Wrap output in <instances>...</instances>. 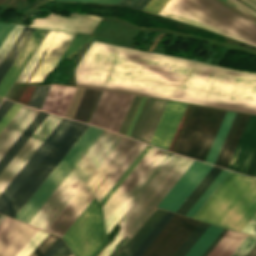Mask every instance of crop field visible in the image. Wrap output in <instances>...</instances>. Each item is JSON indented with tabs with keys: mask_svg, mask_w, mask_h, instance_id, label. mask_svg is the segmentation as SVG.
<instances>
[{
	"mask_svg": "<svg viewBox=\"0 0 256 256\" xmlns=\"http://www.w3.org/2000/svg\"><path fill=\"white\" fill-rule=\"evenodd\" d=\"M62 238L75 256H96L105 246L108 240L95 198Z\"/></svg>",
	"mask_w": 256,
	"mask_h": 256,
	"instance_id": "obj_10",
	"label": "crop field"
},
{
	"mask_svg": "<svg viewBox=\"0 0 256 256\" xmlns=\"http://www.w3.org/2000/svg\"><path fill=\"white\" fill-rule=\"evenodd\" d=\"M222 168L213 166L208 174L204 177L201 183L189 196L187 201L185 200L181 207L178 209L177 213L185 215L186 212L191 208V206L196 202V200L201 196V194L206 190V188L211 184V182L216 178V176L221 172Z\"/></svg>",
	"mask_w": 256,
	"mask_h": 256,
	"instance_id": "obj_32",
	"label": "crop field"
},
{
	"mask_svg": "<svg viewBox=\"0 0 256 256\" xmlns=\"http://www.w3.org/2000/svg\"><path fill=\"white\" fill-rule=\"evenodd\" d=\"M211 167L212 165L194 160L163 201L161 200L159 206L157 205L158 208L176 212Z\"/></svg>",
	"mask_w": 256,
	"mask_h": 256,
	"instance_id": "obj_15",
	"label": "crop field"
},
{
	"mask_svg": "<svg viewBox=\"0 0 256 256\" xmlns=\"http://www.w3.org/2000/svg\"><path fill=\"white\" fill-rule=\"evenodd\" d=\"M63 244V241L57 238L53 244L42 254V256H53Z\"/></svg>",
	"mask_w": 256,
	"mask_h": 256,
	"instance_id": "obj_50",
	"label": "crop field"
},
{
	"mask_svg": "<svg viewBox=\"0 0 256 256\" xmlns=\"http://www.w3.org/2000/svg\"><path fill=\"white\" fill-rule=\"evenodd\" d=\"M256 213V179L230 172L194 218L241 232Z\"/></svg>",
	"mask_w": 256,
	"mask_h": 256,
	"instance_id": "obj_3",
	"label": "crop field"
},
{
	"mask_svg": "<svg viewBox=\"0 0 256 256\" xmlns=\"http://www.w3.org/2000/svg\"><path fill=\"white\" fill-rule=\"evenodd\" d=\"M119 0H75L74 2H97L107 4H117Z\"/></svg>",
	"mask_w": 256,
	"mask_h": 256,
	"instance_id": "obj_57",
	"label": "crop field"
},
{
	"mask_svg": "<svg viewBox=\"0 0 256 256\" xmlns=\"http://www.w3.org/2000/svg\"><path fill=\"white\" fill-rule=\"evenodd\" d=\"M173 213L167 212L166 215L161 219V221L156 225V227L151 231V233L146 237V239L141 243V245L136 249V251L131 256H140L145 248L150 244L154 237L159 233L167 221L172 217Z\"/></svg>",
	"mask_w": 256,
	"mask_h": 256,
	"instance_id": "obj_39",
	"label": "crop field"
},
{
	"mask_svg": "<svg viewBox=\"0 0 256 256\" xmlns=\"http://www.w3.org/2000/svg\"><path fill=\"white\" fill-rule=\"evenodd\" d=\"M50 86L51 85L45 87L37 86L28 105L40 109Z\"/></svg>",
	"mask_w": 256,
	"mask_h": 256,
	"instance_id": "obj_43",
	"label": "crop field"
},
{
	"mask_svg": "<svg viewBox=\"0 0 256 256\" xmlns=\"http://www.w3.org/2000/svg\"><path fill=\"white\" fill-rule=\"evenodd\" d=\"M151 146L147 145L145 149L140 153V155L134 160V162L128 167V169L123 173L117 183L110 189V191L103 197L99 202L101 207L109 199V197L114 193V191L119 187V185L124 181V179L129 175V173L134 169L138 162L143 158V156L148 152Z\"/></svg>",
	"mask_w": 256,
	"mask_h": 256,
	"instance_id": "obj_40",
	"label": "crop field"
},
{
	"mask_svg": "<svg viewBox=\"0 0 256 256\" xmlns=\"http://www.w3.org/2000/svg\"><path fill=\"white\" fill-rule=\"evenodd\" d=\"M21 104L14 103L13 106L8 110L4 117L0 120V132L7 125V123L12 119L16 112L21 108Z\"/></svg>",
	"mask_w": 256,
	"mask_h": 256,
	"instance_id": "obj_45",
	"label": "crop field"
},
{
	"mask_svg": "<svg viewBox=\"0 0 256 256\" xmlns=\"http://www.w3.org/2000/svg\"><path fill=\"white\" fill-rule=\"evenodd\" d=\"M69 1H74V0H69Z\"/></svg>",
	"mask_w": 256,
	"mask_h": 256,
	"instance_id": "obj_64",
	"label": "crop field"
},
{
	"mask_svg": "<svg viewBox=\"0 0 256 256\" xmlns=\"http://www.w3.org/2000/svg\"><path fill=\"white\" fill-rule=\"evenodd\" d=\"M241 1L256 10V0H241Z\"/></svg>",
	"mask_w": 256,
	"mask_h": 256,
	"instance_id": "obj_59",
	"label": "crop field"
},
{
	"mask_svg": "<svg viewBox=\"0 0 256 256\" xmlns=\"http://www.w3.org/2000/svg\"><path fill=\"white\" fill-rule=\"evenodd\" d=\"M173 153L163 151L162 154L157 158L153 165L148 169L144 176L139 180L135 187L125 197L121 204L116 208L112 215L105 222L107 234L117 224L120 218L130 209L135 201L140 197L144 190L154 180L158 173L173 157Z\"/></svg>",
	"mask_w": 256,
	"mask_h": 256,
	"instance_id": "obj_17",
	"label": "crop field"
},
{
	"mask_svg": "<svg viewBox=\"0 0 256 256\" xmlns=\"http://www.w3.org/2000/svg\"><path fill=\"white\" fill-rule=\"evenodd\" d=\"M209 224L200 222L199 225L194 229L190 236L185 240V242L180 246L173 256H184L187 251L192 247V245L197 241V239L202 235V233L207 229Z\"/></svg>",
	"mask_w": 256,
	"mask_h": 256,
	"instance_id": "obj_37",
	"label": "crop field"
},
{
	"mask_svg": "<svg viewBox=\"0 0 256 256\" xmlns=\"http://www.w3.org/2000/svg\"><path fill=\"white\" fill-rule=\"evenodd\" d=\"M47 31L35 29L17 58L15 59L14 63L0 82V96L4 97L23 67L25 66L26 62L44 37Z\"/></svg>",
	"mask_w": 256,
	"mask_h": 256,
	"instance_id": "obj_24",
	"label": "crop field"
},
{
	"mask_svg": "<svg viewBox=\"0 0 256 256\" xmlns=\"http://www.w3.org/2000/svg\"><path fill=\"white\" fill-rule=\"evenodd\" d=\"M221 230L222 228L210 225L185 256H201Z\"/></svg>",
	"mask_w": 256,
	"mask_h": 256,
	"instance_id": "obj_35",
	"label": "crop field"
},
{
	"mask_svg": "<svg viewBox=\"0 0 256 256\" xmlns=\"http://www.w3.org/2000/svg\"><path fill=\"white\" fill-rule=\"evenodd\" d=\"M39 110L23 105L0 133V158L38 114Z\"/></svg>",
	"mask_w": 256,
	"mask_h": 256,
	"instance_id": "obj_25",
	"label": "crop field"
},
{
	"mask_svg": "<svg viewBox=\"0 0 256 256\" xmlns=\"http://www.w3.org/2000/svg\"><path fill=\"white\" fill-rule=\"evenodd\" d=\"M87 127L88 125L74 121L16 193L1 209L0 213L14 218Z\"/></svg>",
	"mask_w": 256,
	"mask_h": 256,
	"instance_id": "obj_7",
	"label": "crop field"
},
{
	"mask_svg": "<svg viewBox=\"0 0 256 256\" xmlns=\"http://www.w3.org/2000/svg\"><path fill=\"white\" fill-rule=\"evenodd\" d=\"M225 112L195 106L174 152L204 161Z\"/></svg>",
	"mask_w": 256,
	"mask_h": 256,
	"instance_id": "obj_8",
	"label": "crop field"
},
{
	"mask_svg": "<svg viewBox=\"0 0 256 256\" xmlns=\"http://www.w3.org/2000/svg\"><path fill=\"white\" fill-rule=\"evenodd\" d=\"M61 117L49 114L25 145L0 174V193L47 137ZM57 126V125H56Z\"/></svg>",
	"mask_w": 256,
	"mask_h": 256,
	"instance_id": "obj_14",
	"label": "crop field"
},
{
	"mask_svg": "<svg viewBox=\"0 0 256 256\" xmlns=\"http://www.w3.org/2000/svg\"><path fill=\"white\" fill-rule=\"evenodd\" d=\"M79 89H80V88H77L76 91H75V93H74V96H73V98H72V100H71V103H70V105H69V107H68V109H67V111H66V113H65V116H66V117H67L68 114H69V111H70V109H71V106H72V104H73V101H74V99H75V97H76V95H77ZM84 90H85V89H83V91H82V88L80 89V91H79V93H78V95H77V97H76V99H75V101H74V104H73V106H72V109H71L70 114H69L68 117H70V115H71V113H72V110H73V108H74V106H75V104H76V101H77V99H78V97H79V95H80V93H81V91H82V93H81V95H80V97H79V99H78V101H77V104H76V106H75V108H74V111H73V113H72V115H71V117H70V118H72V116H73V114H74V112H75V110H76V107H77V105H78V103H79V101H80V98H81V96H82Z\"/></svg>",
	"mask_w": 256,
	"mask_h": 256,
	"instance_id": "obj_51",
	"label": "crop field"
},
{
	"mask_svg": "<svg viewBox=\"0 0 256 256\" xmlns=\"http://www.w3.org/2000/svg\"><path fill=\"white\" fill-rule=\"evenodd\" d=\"M145 146L146 144L124 137L48 232L62 237L95 196L98 202L101 200ZM107 174L108 177L95 191Z\"/></svg>",
	"mask_w": 256,
	"mask_h": 256,
	"instance_id": "obj_5",
	"label": "crop field"
},
{
	"mask_svg": "<svg viewBox=\"0 0 256 256\" xmlns=\"http://www.w3.org/2000/svg\"><path fill=\"white\" fill-rule=\"evenodd\" d=\"M134 95L102 92L89 124L118 131Z\"/></svg>",
	"mask_w": 256,
	"mask_h": 256,
	"instance_id": "obj_13",
	"label": "crop field"
},
{
	"mask_svg": "<svg viewBox=\"0 0 256 256\" xmlns=\"http://www.w3.org/2000/svg\"><path fill=\"white\" fill-rule=\"evenodd\" d=\"M15 220L6 217L0 224V237L8 230ZM38 229L16 221L0 238V256H15L18 251L32 238Z\"/></svg>",
	"mask_w": 256,
	"mask_h": 256,
	"instance_id": "obj_19",
	"label": "crop field"
},
{
	"mask_svg": "<svg viewBox=\"0 0 256 256\" xmlns=\"http://www.w3.org/2000/svg\"><path fill=\"white\" fill-rule=\"evenodd\" d=\"M56 238L57 236L49 234L30 256H40Z\"/></svg>",
	"mask_w": 256,
	"mask_h": 256,
	"instance_id": "obj_46",
	"label": "crop field"
},
{
	"mask_svg": "<svg viewBox=\"0 0 256 256\" xmlns=\"http://www.w3.org/2000/svg\"><path fill=\"white\" fill-rule=\"evenodd\" d=\"M122 138L104 130L29 224L47 231Z\"/></svg>",
	"mask_w": 256,
	"mask_h": 256,
	"instance_id": "obj_4",
	"label": "crop field"
},
{
	"mask_svg": "<svg viewBox=\"0 0 256 256\" xmlns=\"http://www.w3.org/2000/svg\"><path fill=\"white\" fill-rule=\"evenodd\" d=\"M23 29L22 26L15 25V27L12 29V31L9 33V35L6 37V39L3 41V43L0 45V62L12 46L13 42ZM2 99L0 98V101Z\"/></svg>",
	"mask_w": 256,
	"mask_h": 256,
	"instance_id": "obj_42",
	"label": "crop field"
},
{
	"mask_svg": "<svg viewBox=\"0 0 256 256\" xmlns=\"http://www.w3.org/2000/svg\"><path fill=\"white\" fill-rule=\"evenodd\" d=\"M246 256H256V244Z\"/></svg>",
	"mask_w": 256,
	"mask_h": 256,
	"instance_id": "obj_61",
	"label": "crop field"
},
{
	"mask_svg": "<svg viewBox=\"0 0 256 256\" xmlns=\"http://www.w3.org/2000/svg\"><path fill=\"white\" fill-rule=\"evenodd\" d=\"M186 105L178 102H168L150 143L151 145L168 149Z\"/></svg>",
	"mask_w": 256,
	"mask_h": 256,
	"instance_id": "obj_22",
	"label": "crop field"
},
{
	"mask_svg": "<svg viewBox=\"0 0 256 256\" xmlns=\"http://www.w3.org/2000/svg\"><path fill=\"white\" fill-rule=\"evenodd\" d=\"M14 27L12 24L2 23L0 22V44Z\"/></svg>",
	"mask_w": 256,
	"mask_h": 256,
	"instance_id": "obj_52",
	"label": "crop field"
},
{
	"mask_svg": "<svg viewBox=\"0 0 256 256\" xmlns=\"http://www.w3.org/2000/svg\"><path fill=\"white\" fill-rule=\"evenodd\" d=\"M235 114L236 113H234V112H229V111L226 112L224 119L221 123V126L218 130V133H217V135L214 139V142L211 146V149L208 153V156L205 160L206 162H209L212 164L214 163Z\"/></svg>",
	"mask_w": 256,
	"mask_h": 256,
	"instance_id": "obj_33",
	"label": "crop field"
},
{
	"mask_svg": "<svg viewBox=\"0 0 256 256\" xmlns=\"http://www.w3.org/2000/svg\"><path fill=\"white\" fill-rule=\"evenodd\" d=\"M256 176V175H255Z\"/></svg>",
	"mask_w": 256,
	"mask_h": 256,
	"instance_id": "obj_65",
	"label": "crop field"
},
{
	"mask_svg": "<svg viewBox=\"0 0 256 256\" xmlns=\"http://www.w3.org/2000/svg\"><path fill=\"white\" fill-rule=\"evenodd\" d=\"M242 232L252 234V235H256V215L247 224V226L243 229Z\"/></svg>",
	"mask_w": 256,
	"mask_h": 256,
	"instance_id": "obj_54",
	"label": "crop field"
},
{
	"mask_svg": "<svg viewBox=\"0 0 256 256\" xmlns=\"http://www.w3.org/2000/svg\"><path fill=\"white\" fill-rule=\"evenodd\" d=\"M165 213L166 211L156 209L154 213L149 217V219L144 223V225L139 229V231L134 235V237L129 241V243L125 246L119 256H130Z\"/></svg>",
	"mask_w": 256,
	"mask_h": 256,
	"instance_id": "obj_29",
	"label": "crop field"
},
{
	"mask_svg": "<svg viewBox=\"0 0 256 256\" xmlns=\"http://www.w3.org/2000/svg\"><path fill=\"white\" fill-rule=\"evenodd\" d=\"M245 236V234L228 230L207 256H230Z\"/></svg>",
	"mask_w": 256,
	"mask_h": 256,
	"instance_id": "obj_30",
	"label": "crop field"
},
{
	"mask_svg": "<svg viewBox=\"0 0 256 256\" xmlns=\"http://www.w3.org/2000/svg\"><path fill=\"white\" fill-rule=\"evenodd\" d=\"M33 31V28L24 27V29L16 39L15 43L13 44V46L11 47V49L9 50V52L7 53V55L0 64V81Z\"/></svg>",
	"mask_w": 256,
	"mask_h": 256,
	"instance_id": "obj_31",
	"label": "crop field"
},
{
	"mask_svg": "<svg viewBox=\"0 0 256 256\" xmlns=\"http://www.w3.org/2000/svg\"><path fill=\"white\" fill-rule=\"evenodd\" d=\"M100 19V17L88 15L61 16L51 13L46 18H36L30 26L90 34Z\"/></svg>",
	"mask_w": 256,
	"mask_h": 256,
	"instance_id": "obj_18",
	"label": "crop field"
},
{
	"mask_svg": "<svg viewBox=\"0 0 256 256\" xmlns=\"http://www.w3.org/2000/svg\"><path fill=\"white\" fill-rule=\"evenodd\" d=\"M76 86L256 114V73L93 41Z\"/></svg>",
	"mask_w": 256,
	"mask_h": 256,
	"instance_id": "obj_1",
	"label": "crop field"
},
{
	"mask_svg": "<svg viewBox=\"0 0 256 256\" xmlns=\"http://www.w3.org/2000/svg\"><path fill=\"white\" fill-rule=\"evenodd\" d=\"M192 161L193 159L177 154L174 155V157L164 167V169L155 178L151 185L146 189V191L141 195L137 202L123 217L121 220V229L117 236L99 256H109L125 235L128 238L131 237V235L141 225V223L155 208V206L178 180V178L187 169V167L192 163Z\"/></svg>",
	"mask_w": 256,
	"mask_h": 256,
	"instance_id": "obj_6",
	"label": "crop field"
},
{
	"mask_svg": "<svg viewBox=\"0 0 256 256\" xmlns=\"http://www.w3.org/2000/svg\"><path fill=\"white\" fill-rule=\"evenodd\" d=\"M141 97H142V96H141ZM141 97H140V99H141ZM135 98H136V95L134 96V98H133V100H132V103H131V105H130V107H129V109H128V112H127V114H126V116H125V119H124V121H123V123H122V125H121V128H120V130H119V132H118L119 134L121 133V131H122V129H123V126H124V124H125V122H126V119H127L128 115H129V112H130V110H131V107H132V105H133V103H134ZM138 99H139V95L137 96V98H136V100H135V103H134V105H133V107H132V110H131V112H130V115H129V117H128V119H127V122H126V124H125V126H124V129H125V127H126L128 121H129V119H130V117H131V115H132V112H133V110H134V108H135V106H136V103H137ZM140 99H139V101H140ZM139 101H138V103H139ZM138 103H137V105H138ZM136 108H137V106H136ZM136 108H135V110H136ZM135 110H134V112H135ZM133 114H134V113H133ZM132 117H133V115H132ZM132 117H131V119H132ZM131 119H130V121H131ZM129 123H130V122H129ZM128 125H129V124H128ZM127 128H128V126H127ZM127 128H126V130H127ZM124 129H123V131H124ZM126 130H125V132H126ZM123 131H122V133H123ZM125 132H124V134H125ZM122 133H121V134H122Z\"/></svg>",
	"mask_w": 256,
	"mask_h": 256,
	"instance_id": "obj_49",
	"label": "crop field"
},
{
	"mask_svg": "<svg viewBox=\"0 0 256 256\" xmlns=\"http://www.w3.org/2000/svg\"><path fill=\"white\" fill-rule=\"evenodd\" d=\"M159 14L256 46V12L238 0H169Z\"/></svg>",
	"mask_w": 256,
	"mask_h": 256,
	"instance_id": "obj_2",
	"label": "crop field"
},
{
	"mask_svg": "<svg viewBox=\"0 0 256 256\" xmlns=\"http://www.w3.org/2000/svg\"><path fill=\"white\" fill-rule=\"evenodd\" d=\"M168 101L149 98L132 134V138L150 143Z\"/></svg>",
	"mask_w": 256,
	"mask_h": 256,
	"instance_id": "obj_23",
	"label": "crop field"
},
{
	"mask_svg": "<svg viewBox=\"0 0 256 256\" xmlns=\"http://www.w3.org/2000/svg\"><path fill=\"white\" fill-rule=\"evenodd\" d=\"M89 35H83V34H76L56 66L54 67L53 71L59 66V64L65 59H70L72 60L73 57L76 55V53L79 51V49L82 47L84 42L87 40Z\"/></svg>",
	"mask_w": 256,
	"mask_h": 256,
	"instance_id": "obj_38",
	"label": "crop field"
},
{
	"mask_svg": "<svg viewBox=\"0 0 256 256\" xmlns=\"http://www.w3.org/2000/svg\"><path fill=\"white\" fill-rule=\"evenodd\" d=\"M229 170L223 169L222 172L217 176V178L212 182V184L207 188V190L202 194V196L197 200V202L192 206V208L187 212V216L193 217L198 209L203 205L219 183L228 174Z\"/></svg>",
	"mask_w": 256,
	"mask_h": 256,
	"instance_id": "obj_36",
	"label": "crop field"
},
{
	"mask_svg": "<svg viewBox=\"0 0 256 256\" xmlns=\"http://www.w3.org/2000/svg\"><path fill=\"white\" fill-rule=\"evenodd\" d=\"M250 115L237 113L229 129L226 139L215 161V165L227 167L242 131Z\"/></svg>",
	"mask_w": 256,
	"mask_h": 256,
	"instance_id": "obj_26",
	"label": "crop field"
},
{
	"mask_svg": "<svg viewBox=\"0 0 256 256\" xmlns=\"http://www.w3.org/2000/svg\"><path fill=\"white\" fill-rule=\"evenodd\" d=\"M75 89L73 87L52 85L41 109L63 116Z\"/></svg>",
	"mask_w": 256,
	"mask_h": 256,
	"instance_id": "obj_27",
	"label": "crop field"
},
{
	"mask_svg": "<svg viewBox=\"0 0 256 256\" xmlns=\"http://www.w3.org/2000/svg\"><path fill=\"white\" fill-rule=\"evenodd\" d=\"M167 2L168 0H151L144 10L158 14Z\"/></svg>",
	"mask_w": 256,
	"mask_h": 256,
	"instance_id": "obj_47",
	"label": "crop field"
},
{
	"mask_svg": "<svg viewBox=\"0 0 256 256\" xmlns=\"http://www.w3.org/2000/svg\"><path fill=\"white\" fill-rule=\"evenodd\" d=\"M99 92L100 91L97 90H85L81 98V101L77 107V110L72 118L73 120H77L84 123L86 122Z\"/></svg>",
	"mask_w": 256,
	"mask_h": 256,
	"instance_id": "obj_34",
	"label": "crop field"
},
{
	"mask_svg": "<svg viewBox=\"0 0 256 256\" xmlns=\"http://www.w3.org/2000/svg\"><path fill=\"white\" fill-rule=\"evenodd\" d=\"M150 0H120L118 4L138 9H144Z\"/></svg>",
	"mask_w": 256,
	"mask_h": 256,
	"instance_id": "obj_48",
	"label": "crop field"
},
{
	"mask_svg": "<svg viewBox=\"0 0 256 256\" xmlns=\"http://www.w3.org/2000/svg\"><path fill=\"white\" fill-rule=\"evenodd\" d=\"M149 151V150H148ZM162 150L152 147L110 199L102 207L104 213V219L111 215L115 208L120 204L124 197L129 193L133 186L143 176L147 169L152 165L156 158L161 154Z\"/></svg>",
	"mask_w": 256,
	"mask_h": 256,
	"instance_id": "obj_20",
	"label": "crop field"
},
{
	"mask_svg": "<svg viewBox=\"0 0 256 256\" xmlns=\"http://www.w3.org/2000/svg\"><path fill=\"white\" fill-rule=\"evenodd\" d=\"M103 129L89 126L48 178L25 204L15 219L28 223L65 176L75 166L88 148L93 144Z\"/></svg>",
	"mask_w": 256,
	"mask_h": 256,
	"instance_id": "obj_9",
	"label": "crop field"
},
{
	"mask_svg": "<svg viewBox=\"0 0 256 256\" xmlns=\"http://www.w3.org/2000/svg\"><path fill=\"white\" fill-rule=\"evenodd\" d=\"M75 34L50 31L42 41L41 45L25 67L17 81L26 82L29 74L42 56L44 50L49 47L44 59L33 74L29 83H42L51 72L52 68L65 51ZM46 51V50H45ZM31 75V74H30Z\"/></svg>",
	"mask_w": 256,
	"mask_h": 256,
	"instance_id": "obj_11",
	"label": "crop field"
},
{
	"mask_svg": "<svg viewBox=\"0 0 256 256\" xmlns=\"http://www.w3.org/2000/svg\"><path fill=\"white\" fill-rule=\"evenodd\" d=\"M13 102L8 100H4L3 103L0 105V119L3 115L7 112V110L12 106Z\"/></svg>",
	"mask_w": 256,
	"mask_h": 256,
	"instance_id": "obj_55",
	"label": "crop field"
},
{
	"mask_svg": "<svg viewBox=\"0 0 256 256\" xmlns=\"http://www.w3.org/2000/svg\"><path fill=\"white\" fill-rule=\"evenodd\" d=\"M47 235L48 233L39 230L16 256H29Z\"/></svg>",
	"mask_w": 256,
	"mask_h": 256,
	"instance_id": "obj_41",
	"label": "crop field"
},
{
	"mask_svg": "<svg viewBox=\"0 0 256 256\" xmlns=\"http://www.w3.org/2000/svg\"><path fill=\"white\" fill-rule=\"evenodd\" d=\"M72 122V120L63 118L62 121L58 124V126L48 136V138L42 143V145L37 149V151L32 155V157L26 162V164L17 173V175L13 178L9 185L0 194V209L5 205V203L14 194L18 187L23 183V181L28 177V175L33 171V169L38 165V163L43 159V157L48 153V151L53 147L57 140L72 124Z\"/></svg>",
	"mask_w": 256,
	"mask_h": 256,
	"instance_id": "obj_16",
	"label": "crop field"
},
{
	"mask_svg": "<svg viewBox=\"0 0 256 256\" xmlns=\"http://www.w3.org/2000/svg\"><path fill=\"white\" fill-rule=\"evenodd\" d=\"M5 218V216L1 215L0 216V222Z\"/></svg>",
	"mask_w": 256,
	"mask_h": 256,
	"instance_id": "obj_62",
	"label": "crop field"
},
{
	"mask_svg": "<svg viewBox=\"0 0 256 256\" xmlns=\"http://www.w3.org/2000/svg\"><path fill=\"white\" fill-rule=\"evenodd\" d=\"M256 243V237L247 235L231 256H245Z\"/></svg>",
	"mask_w": 256,
	"mask_h": 256,
	"instance_id": "obj_44",
	"label": "crop field"
},
{
	"mask_svg": "<svg viewBox=\"0 0 256 256\" xmlns=\"http://www.w3.org/2000/svg\"><path fill=\"white\" fill-rule=\"evenodd\" d=\"M69 256H73V254L71 253Z\"/></svg>",
	"mask_w": 256,
	"mask_h": 256,
	"instance_id": "obj_63",
	"label": "crop field"
},
{
	"mask_svg": "<svg viewBox=\"0 0 256 256\" xmlns=\"http://www.w3.org/2000/svg\"><path fill=\"white\" fill-rule=\"evenodd\" d=\"M19 85V83H14L13 87L11 88L10 92L8 93L7 97L8 99H10V97L12 96V94L14 93L15 89L17 88V86Z\"/></svg>",
	"mask_w": 256,
	"mask_h": 256,
	"instance_id": "obj_60",
	"label": "crop field"
},
{
	"mask_svg": "<svg viewBox=\"0 0 256 256\" xmlns=\"http://www.w3.org/2000/svg\"><path fill=\"white\" fill-rule=\"evenodd\" d=\"M145 101H146V98L143 97L142 100H141V102H140V105H139V107H138V109H137V111H136V114H135V116H134V118H133V121H132V123H131V125H130V127H129V130H128L127 134H126L127 136H130V134H131V132H132V130H133V127H134V125H135V123H136V121H137V119H138V116H139V114H140V112H141V110H142V107H143Z\"/></svg>",
	"mask_w": 256,
	"mask_h": 256,
	"instance_id": "obj_53",
	"label": "crop field"
},
{
	"mask_svg": "<svg viewBox=\"0 0 256 256\" xmlns=\"http://www.w3.org/2000/svg\"><path fill=\"white\" fill-rule=\"evenodd\" d=\"M47 115L48 113L40 111L39 114L34 118V120L29 124V126L24 130V132L19 136V138L14 142V144L9 148V150L4 154V156L0 159V172L10 162V160L24 145V143L33 134V132L42 123V121L47 117Z\"/></svg>",
	"mask_w": 256,
	"mask_h": 256,
	"instance_id": "obj_28",
	"label": "crop field"
},
{
	"mask_svg": "<svg viewBox=\"0 0 256 256\" xmlns=\"http://www.w3.org/2000/svg\"><path fill=\"white\" fill-rule=\"evenodd\" d=\"M71 252L64 244L54 256H68Z\"/></svg>",
	"mask_w": 256,
	"mask_h": 256,
	"instance_id": "obj_58",
	"label": "crop field"
},
{
	"mask_svg": "<svg viewBox=\"0 0 256 256\" xmlns=\"http://www.w3.org/2000/svg\"><path fill=\"white\" fill-rule=\"evenodd\" d=\"M226 229H223L222 232L217 236V238L212 242V244L208 247V249L203 253L202 256H206L211 249L216 245V243L221 239V237L226 233Z\"/></svg>",
	"mask_w": 256,
	"mask_h": 256,
	"instance_id": "obj_56",
	"label": "crop field"
},
{
	"mask_svg": "<svg viewBox=\"0 0 256 256\" xmlns=\"http://www.w3.org/2000/svg\"><path fill=\"white\" fill-rule=\"evenodd\" d=\"M255 149L256 116L251 115L227 168L244 174Z\"/></svg>",
	"mask_w": 256,
	"mask_h": 256,
	"instance_id": "obj_21",
	"label": "crop field"
},
{
	"mask_svg": "<svg viewBox=\"0 0 256 256\" xmlns=\"http://www.w3.org/2000/svg\"><path fill=\"white\" fill-rule=\"evenodd\" d=\"M198 223L174 214L141 256H172Z\"/></svg>",
	"mask_w": 256,
	"mask_h": 256,
	"instance_id": "obj_12",
	"label": "crop field"
}]
</instances>
